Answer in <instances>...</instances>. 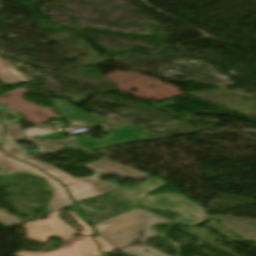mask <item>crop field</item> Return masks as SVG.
Listing matches in <instances>:
<instances>
[{
	"label": "crop field",
	"instance_id": "1",
	"mask_svg": "<svg viewBox=\"0 0 256 256\" xmlns=\"http://www.w3.org/2000/svg\"><path fill=\"white\" fill-rule=\"evenodd\" d=\"M154 180L158 182L152 184ZM165 184H167V182L155 177H151L137 189L131 187L117 188L90 198L104 203L107 209V211L104 212L87 208L82 202L78 203V205L88 216L91 217L94 224L131 210L135 208L140 201L146 208L171 209L180 212L182 215L177 221H173L172 223L181 225H196L209 218L205 215L203 208L180 194L165 193L155 196H146L149 192ZM190 215H194L199 219L192 220L189 218Z\"/></svg>",
	"mask_w": 256,
	"mask_h": 256
},
{
	"label": "crop field",
	"instance_id": "2",
	"mask_svg": "<svg viewBox=\"0 0 256 256\" xmlns=\"http://www.w3.org/2000/svg\"><path fill=\"white\" fill-rule=\"evenodd\" d=\"M170 220L147 210L133 209L94 225L97 233L117 251L134 256H167L146 245L147 239L158 236L154 223Z\"/></svg>",
	"mask_w": 256,
	"mask_h": 256
},
{
	"label": "crop field",
	"instance_id": "3",
	"mask_svg": "<svg viewBox=\"0 0 256 256\" xmlns=\"http://www.w3.org/2000/svg\"><path fill=\"white\" fill-rule=\"evenodd\" d=\"M1 146L6 153L20 160L36 165L59 179L65 186L68 187L70 194L76 203L120 187L114 183L97 181L98 178L103 175H116L136 179H143L148 176L138 170L131 169L126 166L114 164L105 160H99L85 166L92 169L96 173L94 176L85 179H77L52 166L29 157L26 155V150L17 146L15 143H2Z\"/></svg>",
	"mask_w": 256,
	"mask_h": 256
},
{
	"label": "crop field",
	"instance_id": "4",
	"mask_svg": "<svg viewBox=\"0 0 256 256\" xmlns=\"http://www.w3.org/2000/svg\"><path fill=\"white\" fill-rule=\"evenodd\" d=\"M69 213L75 218V222L84 229L81 233H77L74 229L60 220L57 217L60 213L56 211L49 214L51 218L48 220L24 224L27 229L29 239L45 243L51 236H59L64 239L77 234H93L90 227L77 218L72 211ZM95 239L100 244L103 253L115 250L100 236H96ZM99 254L102 253L98 252L97 246L92 237L86 236L70 240L64 239L63 248L51 253L20 251L15 253L13 256H93Z\"/></svg>",
	"mask_w": 256,
	"mask_h": 256
},
{
	"label": "crop field",
	"instance_id": "5",
	"mask_svg": "<svg viewBox=\"0 0 256 256\" xmlns=\"http://www.w3.org/2000/svg\"><path fill=\"white\" fill-rule=\"evenodd\" d=\"M53 106H55V105H53ZM55 107H58V106H55ZM58 108H59V111L64 113V117H66V118L91 122L95 125H98V124L106 121L105 119H102L101 117L92 118L89 114H87L75 107H73V108L58 107ZM99 127L103 128V131L118 128V127H121L122 129L109 131L108 132V134H110L109 137L102 141L67 138V139H63V140L52 141L49 143L63 145L66 147L70 146L73 149H78L84 153H88V152H93V151H98V150H103V149L119 147V146H122L120 144L122 142H132V141L138 140V139H134V140L126 141L117 135L125 130H128V131L142 137V138H139L141 140L154 141L157 139V137L148 134L140 126H126V125H122V124L108 122ZM111 136H112V138H110ZM105 140H108V141L106 142ZM114 141H116V142L114 143ZM71 143H73V144H71ZM102 146H105V148H103Z\"/></svg>",
	"mask_w": 256,
	"mask_h": 256
},
{
	"label": "crop field",
	"instance_id": "6",
	"mask_svg": "<svg viewBox=\"0 0 256 256\" xmlns=\"http://www.w3.org/2000/svg\"><path fill=\"white\" fill-rule=\"evenodd\" d=\"M0 174H8L12 175L16 172H23L29 174L39 175L45 179H47V183L51 188L54 196L49 202L50 212L59 210L66 206L72 205V201L69 198L65 188L56 180L52 179L50 176L46 175L42 171L37 168L26 164L24 162L15 160L6 154L0 151Z\"/></svg>",
	"mask_w": 256,
	"mask_h": 256
},
{
	"label": "crop field",
	"instance_id": "7",
	"mask_svg": "<svg viewBox=\"0 0 256 256\" xmlns=\"http://www.w3.org/2000/svg\"><path fill=\"white\" fill-rule=\"evenodd\" d=\"M0 79L5 83L28 81L21 74L15 71L10 65L0 60Z\"/></svg>",
	"mask_w": 256,
	"mask_h": 256
},
{
	"label": "crop field",
	"instance_id": "8",
	"mask_svg": "<svg viewBox=\"0 0 256 256\" xmlns=\"http://www.w3.org/2000/svg\"><path fill=\"white\" fill-rule=\"evenodd\" d=\"M16 139H22L21 127L19 123L7 128L3 141L16 140Z\"/></svg>",
	"mask_w": 256,
	"mask_h": 256
},
{
	"label": "crop field",
	"instance_id": "9",
	"mask_svg": "<svg viewBox=\"0 0 256 256\" xmlns=\"http://www.w3.org/2000/svg\"><path fill=\"white\" fill-rule=\"evenodd\" d=\"M21 220L7 214L4 213L0 210V223L6 224L8 226L14 225V224H18L20 223Z\"/></svg>",
	"mask_w": 256,
	"mask_h": 256
},
{
	"label": "crop field",
	"instance_id": "10",
	"mask_svg": "<svg viewBox=\"0 0 256 256\" xmlns=\"http://www.w3.org/2000/svg\"><path fill=\"white\" fill-rule=\"evenodd\" d=\"M44 127H45L44 129L32 128V129L26 130L25 135L28 137H34V136L53 132V131H50L51 129L47 125H45Z\"/></svg>",
	"mask_w": 256,
	"mask_h": 256
},
{
	"label": "crop field",
	"instance_id": "11",
	"mask_svg": "<svg viewBox=\"0 0 256 256\" xmlns=\"http://www.w3.org/2000/svg\"><path fill=\"white\" fill-rule=\"evenodd\" d=\"M2 133H3V126L0 124V140H1Z\"/></svg>",
	"mask_w": 256,
	"mask_h": 256
},
{
	"label": "crop field",
	"instance_id": "12",
	"mask_svg": "<svg viewBox=\"0 0 256 256\" xmlns=\"http://www.w3.org/2000/svg\"><path fill=\"white\" fill-rule=\"evenodd\" d=\"M104 256H107V255H104Z\"/></svg>",
	"mask_w": 256,
	"mask_h": 256
},
{
	"label": "crop field",
	"instance_id": "13",
	"mask_svg": "<svg viewBox=\"0 0 256 256\" xmlns=\"http://www.w3.org/2000/svg\"><path fill=\"white\" fill-rule=\"evenodd\" d=\"M99 256H101V255H99Z\"/></svg>",
	"mask_w": 256,
	"mask_h": 256
}]
</instances>
